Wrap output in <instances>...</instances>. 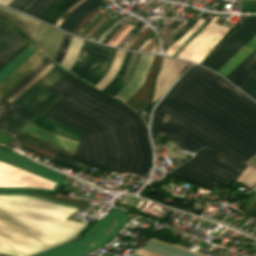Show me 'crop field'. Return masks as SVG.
Returning a JSON list of instances; mask_svg holds the SVG:
<instances>
[{
  "label": "crop field",
  "instance_id": "crop-field-35",
  "mask_svg": "<svg viewBox=\"0 0 256 256\" xmlns=\"http://www.w3.org/2000/svg\"><path fill=\"white\" fill-rule=\"evenodd\" d=\"M71 35H68L66 36L65 40H64V43L61 47V50L58 54V56L56 57V59L54 60L56 63L59 64V62L62 60V58L64 57L65 53H66V50H67V47L69 45V42H70V39H71Z\"/></svg>",
  "mask_w": 256,
  "mask_h": 256
},
{
  "label": "crop field",
  "instance_id": "crop-field-33",
  "mask_svg": "<svg viewBox=\"0 0 256 256\" xmlns=\"http://www.w3.org/2000/svg\"><path fill=\"white\" fill-rule=\"evenodd\" d=\"M54 65L51 63L45 67L39 74H37L30 82H28L21 90H19L13 97L9 99V101L13 102L16 98H18L24 91H26L33 83H35L41 76H43L49 69H51Z\"/></svg>",
  "mask_w": 256,
  "mask_h": 256
},
{
  "label": "crop field",
  "instance_id": "crop-field-50",
  "mask_svg": "<svg viewBox=\"0 0 256 256\" xmlns=\"http://www.w3.org/2000/svg\"><path fill=\"white\" fill-rule=\"evenodd\" d=\"M249 214L256 217V206L249 212Z\"/></svg>",
  "mask_w": 256,
  "mask_h": 256
},
{
  "label": "crop field",
  "instance_id": "crop-field-7",
  "mask_svg": "<svg viewBox=\"0 0 256 256\" xmlns=\"http://www.w3.org/2000/svg\"><path fill=\"white\" fill-rule=\"evenodd\" d=\"M116 51L85 40L69 71L95 85L105 76Z\"/></svg>",
  "mask_w": 256,
  "mask_h": 256
},
{
  "label": "crop field",
  "instance_id": "crop-field-17",
  "mask_svg": "<svg viewBox=\"0 0 256 256\" xmlns=\"http://www.w3.org/2000/svg\"><path fill=\"white\" fill-rule=\"evenodd\" d=\"M102 5L98 0H86L74 9L59 26L72 33L77 24L91 11Z\"/></svg>",
  "mask_w": 256,
  "mask_h": 256
},
{
  "label": "crop field",
  "instance_id": "crop-field-12",
  "mask_svg": "<svg viewBox=\"0 0 256 256\" xmlns=\"http://www.w3.org/2000/svg\"><path fill=\"white\" fill-rule=\"evenodd\" d=\"M186 65L187 63L164 57L161 71L159 70L160 73L156 80L155 94L152 102L158 99L163 94V92L175 81V79L180 75Z\"/></svg>",
  "mask_w": 256,
  "mask_h": 256
},
{
  "label": "crop field",
  "instance_id": "crop-field-48",
  "mask_svg": "<svg viewBox=\"0 0 256 256\" xmlns=\"http://www.w3.org/2000/svg\"><path fill=\"white\" fill-rule=\"evenodd\" d=\"M121 24V23H120ZM117 25L113 30L112 32L106 37V39L103 41V43H106L108 41V39L114 34V32L119 28L121 27V25Z\"/></svg>",
  "mask_w": 256,
  "mask_h": 256
},
{
  "label": "crop field",
  "instance_id": "crop-field-47",
  "mask_svg": "<svg viewBox=\"0 0 256 256\" xmlns=\"http://www.w3.org/2000/svg\"><path fill=\"white\" fill-rule=\"evenodd\" d=\"M245 164L256 167V154L252 158H250L247 162H245Z\"/></svg>",
  "mask_w": 256,
  "mask_h": 256
},
{
  "label": "crop field",
  "instance_id": "crop-field-20",
  "mask_svg": "<svg viewBox=\"0 0 256 256\" xmlns=\"http://www.w3.org/2000/svg\"><path fill=\"white\" fill-rule=\"evenodd\" d=\"M35 115V113L19 107L0 123V128L16 133Z\"/></svg>",
  "mask_w": 256,
  "mask_h": 256
},
{
  "label": "crop field",
  "instance_id": "crop-field-2",
  "mask_svg": "<svg viewBox=\"0 0 256 256\" xmlns=\"http://www.w3.org/2000/svg\"><path fill=\"white\" fill-rule=\"evenodd\" d=\"M50 88L65 96L44 116L85 132L75 160L141 177L147 173L151 150L137 114L67 73Z\"/></svg>",
  "mask_w": 256,
  "mask_h": 256
},
{
  "label": "crop field",
  "instance_id": "crop-field-13",
  "mask_svg": "<svg viewBox=\"0 0 256 256\" xmlns=\"http://www.w3.org/2000/svg\"><path fill=\"white\" fill-rule=\"evenodd\" d=\"M154 55L142 54L130 81L114 96L126 101L142 83Z\"/></svg>",
  "mask_w": 256,
  "mask_h": 256
},
{
  "label": "crop field",
  "instance_id": "crop-field-41",
  "mask_svg": "<svg viewBox=\"0 0 256 256\" xmlns=\"http://www.w3.org/2000/svg\"><path fill=\"white\" fill-rule=\"evenodd\" d=\"M36 0H26L24 3H22L17 10L24 12L32 3H34Z\"/></svg>",
  "mask_w": 256,
  "mask_h": 256
},
{
  "label": "crop field",
  "instance_id": "crop-field-21",
  "mask_svg": "<svg viewBox=\"0 0 256 256\" xmlns=\"http://www.w3.org/2000/svg\"><path fill=\"white\" fill-rule=\"evenodd\" d=\"M131 54L132 53H126V55L124 57V60L122 62V65H121V67L118 71L119 74H122V75L124 74V72L127 68V65L130 61ZM140 55L141 54L137 55L136 60L134 62V65L132 67V70L130 72V75H129L128 79H130ZM127 82H128L127 80H125V79L116 75L114 77V79L102 91L114 96Z\"/></svg>",
  "mask_w": 256,
  "mask_h": 256
},
{
  "label": "crop field",
  "instance_id": "crop-field-55",
  "mask_svg": "<svg viewBox=\"0 0 256 256\" xmlns=\"http://www.w3.org/2000/svg\"><path fill=\"white\" fill-rule=\"evenodd\" d=\"M56 56V55H55Z\"/></svg>",
  "mask_w": 256,
  "mask_h": 256
},
{
  "label": "crop field",
  "instance_id": "crop-field-9",
  "mask_svg": "<svg viewBox=\"0 0 256 256\" xmlns=\"http://www.w3.org/2000/svg\"><path fill=\"white\" fill-rule=\"evenodd\" d=\"M256 35V16L251 15L227 39H225L201 64L218 70L253 36Z\"/></svg>",
  "mask_w": 256,
  "mask_h": 256
},
{
  "label": "crop field",
  "instance_id": "crop-field-29",
  "mask_svg": "<svg viewBox=\"0 0 256 256\" xmlns=\"http://www.w3.org/2000/svg\"><path fill=\"white\" fill-rule=\"evenodd\" d=\"M15 136L18 137V138H20V139H23V140H25V141H27V142H30V143H32V144H34V145H37V146H39V147H41V148H44V149H46V150H48V151H51V152L57 154L55 158L58 159V160H61V161H63V162H66V163H68V164H71V165H74V166H77V167H80V168H83V169H85V167H86V165H83V164H81V163H78V162H75V161L70 160L71 157H69V156H67V155H64V154H62V153H60V152H57V151H55V150H53V149H50V148H48V147H46V146H43V145H41V144H39V143H36V142H34V141H32V140H29V139H27V138H25V137H22V136L18 135V134H16Z\"/></svg>",
  "mask_w": 256,
  "mask_h": 256
},
{
  "label": "crop field",
  "instance_id": "crop-field-22",
  "mask_svg": "<svg viewBox=\"0 0 256 256\" xmlns=\"http://www.w3.org/2000/svg\"><path fill=\"white\" fill-rule=\"evenodd\" d=\"M77 1L78 0H55L39 18L53 25L62 13Z\"/></svg>",
  "mask_w": 256,
  "mask_h": 256
},
{
  "label": "crop field",
  "instance_id": "crop-field-5",
  "mask_svg": "<svg viewBox=\"0 0 256 256\" xmlns=\"http://www.w3.org/2000/svg\"><path fill=\"white\" fill-rule=\"evenodd\" d=\"M0 160L15 164L40 176L37 178L38 176L15 165L0 161V186L27 185L37 178L27 186L0 187V189H30L56 192L64 177L62 174L46 169L3 148H0Z\"/></svg>",
  "mask_w": 256,
  "mask_h": 256
},
{
  "label": "crop field",
  "instance_id": "crop-field-28",
  "mask_svg": "<svg viewBox=\"0 0 256 256\" xmlns=\"http://www.w3.org/2000/svg\"><path fill=\"white\" fill-rule=\"evenodd\" d=\"M206 20L204 19H198V21L195 23V25L190 28L181 38H179L175 43H173L166 51L167 54L173 55L176 50L187 40V38L196 31ZM168 55V56H169Z\"/></svg>",
  "mask_w": 256,
  "mask_h": 256
},
{
  "label": "crop field",
  "instance_id": "crop-field-26",
  "mask_svg": "<svg viewBox=\"0 0 256 256\" xmlns=\"http://www.w3.org/2000/svg\"><path fill=\"white\" fill-rule=\"evenodd\" d=\"M84 40L73 37L64 59L59 65L69 70Z\"/></svg>",
  "mask_w": 256,
  "mask_h": 256
},
{
  "label": "crop field",
  "instance_id": "crop-field-39",
  "mask_svg": "<svg viewBox=\"0 0 256 256\" xmlns=\"http://www.w3.org/2000/svg\"><path fill=\"white\" fill-rule=\"evenodd\" d=\"M256 53V49L246 58L244 59L232 72H230L225 78H229L233 73H235L247 60H249Z\"/></svg>",
  "mask_w": 256,
  "mask_h": 256
},
{
  "label": "crop field",
  "instance_id": "crop-field-4",
  "mask_svg": "<svg viewBox=\"0 0 256 256\" xmlns=\"http://www.w3.org/2000/svg\"><path fill=\"white\" fill-rule=\"evenodd\" d=\"M246 165L208 149H201L193 158L175 168L171 175L194 181L210 189L212 178L230 186Z\"/></svg>",
  "mask_w": 256,
  "mask_h": 256
},
{
  "label": "crop field",
  "instance_id": "crop-field-43",
  "mask_svg": "<svg viewBox=\"0 0 256 256\" xmlns=\"http://www.w3.org/2000/svg\"><path fill=\"white\" fill-rule=\"evenodd\" d=\"M100 18L94 19L87 27L86 29L82 32L81 36H85V34L90 30V28L99 20Z\"/></svg>",
  "mask_w": 256,
  "mask_h": 256
},
{
  "label": "crop field",
  "instance_id": "crop-field-19",
  "mask_svg": "<svg viewBox=\"0 0 256 256\" xmlns=\"http://www.w3.org/2000/svg\"><path fill=\"white\" fill-rule=\"evenodd\" d=\"M46 25H44V24H40V26H39V29H38V32H37V34H36V36H35V39H34V43L36 44V46L37 47H39V45H40V42H41V40H42V37H43V34H44V32H45V29H46ZM38 28V27H37ZM52 28H50V27H47V29H46V32H45V34H44V37H43V40H42V42H41V45H40V47H39V49H41V50H43L44 51V49H45V47H46V44H47V42H48V40H49V38H50V36H51V33H52ZM55 30V29H54ZM54 30H53V33H54ZM37 31V30H36ZM36 33V32H35ZM53 33H52V36H53ZM52 36H51V38H52ZM61 36H62V32H60V31H58V30H55V33H54V36H53V38H52V40H51V38H50V40H51V42H50V40H49V42H50V44H49V42H48V44H49V47H48V44H47V47H48V51H47V55L48 56H50L51 58H53V56H54V53H55V50H56V48H57V45H58V43H59V41H60V39H61ZM34 38V37H33ZM33 40V39H32ZM61 42V41H60ZM47 47H46V49H45V51L44 52H46V50H47ZM58 49V48H57ZM57 51V50H56Z\"/></svg>",
  "mask_w": 256,
  "mask_h": 256
},
{
  "label": "crop field",
  "instance_id": "crop-field-44",
  "mask_svg": "<svg viewBox=\"0 0 256 256\" xmlns=\"http://www.w3.org/2000/svg\"><path fill=\"white\" fill-rule=\"evenodd\" d=\"M24 1L25 0H13L11 3L8 4V6L16 9Z\"/></svg>",
  "mask_w": 256,
  "mask_h": 256
},
{
  "label": "crop field",
  "instance_id": "crop-field-25",
  "mask_svg": "<svg viewBox=\"0 0 256 256\" xmlns=\"http://www.w3.org/2000/svg\"><path fill=\"white\" fill-rule=\"evenodd\" d=\"M125 53L126 52L124 51H120V50L117 51L106 76L100 82H98L95 86H97L99 89L102 90L113 79V77L115 76V74L117 73L120 67V64L123 60Z\"/></svg>",
  "mask_w": 256,
  "mask_h": 256
},
{
  "label": "crop field",
  "instance_id": "crop-field-10",
  "mask_svg": "<svg viewBox=\"0 0 256 256\" xmlns=\"http://www.w3.org/2000/svg\"><path fill=\"white\" fill-rule=\"evenodd\" d=\"M228 30L229 28L215 22L181 58L200 63Z\"/></svg>",
  "mask_w": 256,
  "mask_h": 256
},
{
  "label": "crop field",
  "instance_id": "crop-field-36",
  "mask_svg": "<svg viewBox=\"0 0 256 256\" xmlns=\"http://www.w3.org/2000/svg\"><path fill=\"white\" fill-rule=\"evenodd\" d=\"M219 16L218 15H216L215 16V18L208 24V26L205 28V29H203L189 44H187L184 48H183V50L178 54V58H180L182 55H183V53L193 44V42L205 31V30H207L211 25H212V23L218 18Z\"/></svg>",
  "mask_w": 256,
  "mask_h": 256
},
{
  "label": "crop field",
  "instance_id": "crop-field-46",
  "mask_svg": "<svg viewBox=\"0 0 256 256\" xmlns=\"http://www.w3.org/2000/svg\"><path fill=\"white\" fill-rule=\"evenodd\" d=\"M136 55H137V54H132V58H131L130 64H129V66H128L127 70H126V73H125V76H126V77H128V75H129V72H130V70H131V67H132V65H133V62H134V60H135Z\"/></svg>",
  "mask_w": 256,
  "mask_h": 256
},
{
  "label": "crop field",
  "instance_id": "crop-field-52",
  "mask_svg": "<svg viewBox=\"0 0 256 256\" xmlns=\"http://www.w3.org/2000/svg\"><path fill=\"white\" fill-rule=\"evenodd\" d=\"M104 39L103 38H101V41H103Z\"/></svg>",
  "mask_w": 256,
  "mask_h": 256
},
{
  "label": "crop field",
  "instance_id": "crop-field-11",
  "mask_svg": "<svg viewBox=\"0 0 256 256\" xmlns=\"http://www.w3.org/2000/svg\"><path fill=\"white\" fill-rule=\"evenodd\" d=\"M28 42L0 20V67Z\"/></svg>",
  "mask_w": 256,
  "mask_h": 256
},
{
  "label": "crop field",
  "instance_id": "crop-field-18",
  "mask_svg": "<svg viewBox=\"0 0 256 256\" xmlns=\"http://www.w3.org/2000/svg\"><path fill=\"white\" fill-rule=\"evenodd\" d=\"M0 15L17 26L31 39L34 35L38 21L18 12L0 6Z\"/></svg>",
  "mask_w": 256,
  "mask_h": 256
},
{
  "label": "crop field",
  "instance_id": "crop-field-31",
  "mask_svg": "<svg viewBox=\"0 0 256 256\" xmlns=\"http://www.w3.org/2000/svg\"><path fill=\"white\" fill-rule=\"evenodd\" d=\"M52 1L53 0H37L25 12L37 18Z\"/></svg>",
  "mask_w": 256,
  "mask_h": 256
},
{
  "label": "crop field",
  "instance_id": "crop-field-42",
  "mask_svg": "<svg viewBox=\"0 0 256 256\" xmlns=\"http://www.w3.org/2000/svg\"><path fill=\"white\" fill-rule=\"evenodd\" d=\"M114 17H109L108 19H106L93 33H92V35L89 37V39L90 38H92L93 36L95 37L96 36V34L106 25V23L108 22V21H110L111 19H113Z\"/></svg>",
  "mask_w": 256,
  "mask_h": 256
},
{
  "label": "crop field",
  "instance_id": "crop-field-8",
  "mask_svg": "<svg viewBox=\"0 0 256 256\" xmlns=\"http://www.w3.org/2000/svg\"><path fill=\"white\" fill-rule=\"evenodd\" d=\"M63 74H65V72L54 66L18 99H16L14 103L43 115L48 108L63 97V95L48 88Z\"/></svg>",
  "mask_w": 256,
  "mask_h": 256
},
{
  "label": "crop field",
  "instance_id": "crop-field-14",
  "mask_svg": "<svg viewBox=\"0 0 256 256\" xmlns=\"http://www.w3.org/2000/svg\"><path fill=\"white\" fill-rule=\"evenodd\" d=\"M21 131L28 133L30 135H33L42 140H45L54 145H57L66 150H69L73 153L75 152L77 145L79 143L78 141H75V140H72V139L51 133V132H47V131H45L39 127H36L34 125H31L29 123L25 127H23L21 129Z\"/></svg>",
  "mask_w": 256,
  "mask_h": 256
},
{
  "label": "crop field",
  "instance_id": "crop-field-40",
  "mask_svg": "<svg viewBox=\"0 0 256 256\" xmlns=\"http://www.w3.org/2000/svg\"><path fill=\"white\" fill-rule=\"evenodd\" d=\"M136 254L140 255V256H162L156 253H152L143 249L138 248V250L136 251Z\"/></svg>",
  "mask_w": 256,
  "mask_h": 256
},
{
  "label": "crop field",
  "instance_id": "crop-field-16",
  "mask_svg": "<svg viewBox=\"0 0 256 256\" xmlns=\"http://www.w3.org/2000/svg\"><path fill=\"white\" fill-rule=\"evenodd\" d=\"M40 55L41 54L37 51L0 84V97L44 59V57Z\"/></svg>",
  "mask_w": 256,
  "mask_h": 256
},
{
  "label": "crop field",
  "instance_id": "crop-field-27",
  "mask_svg": "<svg viewBox=\"0 0 256 256\" xmlns=\"http://www.w3.org/2000/svg\"><path fill=\"white\" fill-rule=\"evenodd\" d=\"M254 69H256V54L247 61L235 74L228 80L236 86L244 80Z\"/></svg>",
  "mask_w": 256,
  "mask_h": 256
},
{
  "label": "crop field",
  "instance_id": "crop-field-32",
  "mask_svg": "<svg viewBox=\"0 0 256 256\" xmlns=\"http://www.w3.org/2000/svg\"><path fill=\"white\" fill-rule=\"evenodd\" d=\"M239 88L256 100V72Z\"/></svg>",
  "mask_w": 256,
  "mask_h": 256
},
{
  "label": "crop field",
  "instance_id": "crop-field-24",
  "mask_svg": "<svg viewBox=\"0 0 256 256\" xmlns=\"http://www.w3.org/2000/svg\"><path fill=\"white\" fill-rule=\"evenodd\" d=\"M36 51L37 50L29 44L17 56H15L8 64H6L0 70V83Z\"/></svg>",
  "mask_w": 256,
  "mask_h": 256
},
{
  "label": "crop field",
  "instance_id": "crop-field-51",
  "mask_svg": "<svg viewBox=\"0 0 256 256\" xmlns=\"http://www.w3.org/2000/svg\"><path fill=\"white\" fill-rule=\"evenodd\" d=\"M12 0H0L1 4H5L7 5L9 2H11Z\"/></svg>",
  "mask_w": 256,
  "mask_h": 256
},
{
  "label": "crop field",
  "instance_id": "crop-field-54",
  "mask_svg": "<svg viewBox=\"0 0 256 256\" xmlns=\"http://www.w3.org/2000/svg\"><path fill=\"white\" fill-rule=\"evenodd\" d=\"M0 256H4V255L0 254Z\"/></svg>",
  "mask_w": 256,
  "mask_h": 256
},
{
  "label": "crop field",
  "instance_id": "crop-field-3",
  "mask_svg": "<svg viewBox=\"0 0 256 256\" xmlns=\"http://www.w3.org/2000/svg\"><path fill=\"white\" fill-rule=\"evenodd\" d=\"M26 194H0L1 253L27 256L75 237L88 225L66 219L79 206Z\"/></svg>",
  "mask_w": 256,
  "mask_h": 256
},
{
  "label": "crop field",
  "instance_id": "crop-field-6",
  "mask_svg": "<svg viewBox=\"0 0 256 256\" xmlns=\"http://www.w3.org/2000/svg\"><path fill=\"white\" fill-rule=\"evenodd\" d=\"M126 219L125 211L112 208L110 213L95 223L84 236L36 256H80L88 253L113 238Z\"/></svg>",
  "mask_w": 256,
  "mask_h": 256
},
{
  "label": "crop field",
  "instance_id": "crop-field-37",
  "mask_svg": "<svg viewBox=\"0 0 256 256\" xmlns=\"http://www.w3.org/2000/svg\"><path fill=\"white\" fill-rule=\"evenodd\" d=\"M178 24L179 23L177 21H173L170 25H168L163 31L159 33L160 39L167 35Z\"/></svg>",
  "mask_w": 256,
  "mask_h": 256
},
{
  "label": "crop field",
  "instance_id": "crop-field-34",
  "mask_svg": "<svg viewBox=\"0 0 256 256\" xmlns=\"http://www.w3.org/2000/svg\"><path fill=\"white\" fill-rule=\"evenodd\" d=\"M192 22H186L182 27H180L169 39H167L163 44H162V50L164 51L166 47L173 42L177 35L182 33Z\"/></svg>",
  "mask_w": 256,
  "mask_h": 256
},
{
  "label": "crop field",
  "instance_id": "crop-field-53",
  "mask_svg": "<svg viewBox=\"0 0 256 256\" xmlns=\"http://www.w3.org/2000/svg\"><path fill=\"white\" fill-rule=\"evenodd\" d=\"M133 256H138V255L134 254Z\"/></svg>",
  "mask_w": 256,
  "mask_h": 256
},
{
  "label": "crop field",
  "instance_id": "crop-field-38",
  "mask_svg": "<svg viewBox=\"0 0 256 256\" xmlns=\"http://www.w3.org/2000/svg\"><path fill=\"white\" fill-rule=\"evenodd\" d=\"M206 25H202L191 37L188 38V40L177 50V52L173 55L174 57L177 56V54L182 50V48L189 43Z\"/></svg>",
  "mask_w": 256,
  "mask_h": 256
},
{
  "label": "crop field",
  "instance_id": "crop-field-1",
  "mask_svg": "<svg viewBox=\"0 0 256 256\" xmlns=\"http://www.w3.org/2000/svg\"><path fill=\"white\" fill-rule=\"evenodd\" d=\"M151 136H167L192 152L214 148L244 163L256 153V104L194 66L155 108Z\"/></svg>",
  "mask_w": 256,
  "mask_h": 256
},
{
  "label": "crop field",
  "instance_id": "crop-field-30",
  "mask_svg": "<svg viewBox=\"0 0 256 256\" xmlns=\"http://www.w3.org/2000/svg\"><path fill=\"white\" fill-rule=\"evenodd\" d=\"M237 181L252 188L256 184V170L247 166Z\"/></svg>",
  "mask_w": 256,
  "mask_h": 256
},
{
  "label": "crop field",
  "instance_id": "crop-field-23",
  "mask_svg": "<svg viewBox=\"0 0 256 256\" xmlns=\"http://www.w3.org/2000/svg\"><path fill=\"white\" fill-rule=\"evenodd\" d=\"M256 48V36L253 37L240 51H238L225 65L217 72L224 77L232 71L244 58Z\"/></svg>",
  "mask_w": 256,
  "mask_h": 256
},
{
  "label": "crop field",
  "instance_id": "crop-field-45",
  "mask_svg": "<svg viewBox=\"0 0 256 256\" xmlns=\"http://www.w3.org/2000/svg\"><path fill=\"white\" fill-rule=\"evenodd\" d=\"M155 39H157V37L153 38L143 51H150L157 43Z\"/></svg>",
  "mask_w": 256,
  "mask_h": 256
},
{
  "label": "crop field",
  "instance_id": "crop-field-15",
  "mask_svg": "<svg viewBox=\"0 0 256 256\" xmlns=\"http://www.w3.org/2000/svg\"><path fill=\"white\" fill-rule=\"evenodd\" d=\"M50 62L45 58L40 62L33 70H31L23 79H21L14 87H12L5 95L0 98V122L12 113L18 106L6 101L16 91H18L24 84H26L31 78H33L38 72H40Z\"/></svg>",
  "mask_w": 256,
  "mask_h": 256
},
{
  "label": "crop field",
  "instance_id": "crop-field-49",
  "mask_svg": "<svg viewBox=\"0 0 256 256\" xmlns=\"http://www.w3.org/2000/svg\"><path fill=\"white\" fill-rule=\"evenodd\" d=\"M23 148H25V149H27V150H29V151H31V152H33V153L39 155V156L48 157V156H45V155H43V154H40V153H38V152H36V151H33V150H31V149H28V148H26V147H24V146H23ZM48 158H50V157H48ZM51 159H52V158H51ZM53 160H54V159H53Z\"/></svg>",
  "mask_w": 256,
  "mask_h": 256
}]
</instances>
